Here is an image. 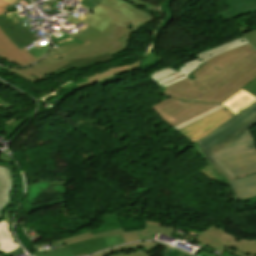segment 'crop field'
Instances as JSON below:
<instances>
[{"mask_svg":"<svg viewBox=\"0 0 256 256\" xmlns=\"http://www.w3.org/2000/svg\"><path fill=\"white\" fill-rule=\"evenodd\" d=\"M132 32L112 22L101 33L87 25L72 33L87 44H71L52 49L47 58L33 65L44 77L70 69H84L111 61L110 55L127 49Z\"/></svg>","mask_w":256,"mask_h":256,"instance_id":"obj_1","label":"crop field"},{"mask_svg":"<svg viewBox=\"0 0 256 256\" xmlns=\"http://www.w3.org/2000/svg\"><path fill=\"white\" fill-rule=\"evenodd\" d=\"M189 78L209 93L193 100L220 104L256 78V51L250 44L223 53Z\"/></svg>","mask_w":256,"mask_h":256,"instance_id":"obj_2","label":"crop field"},{"mask_svg":"<svg viewBox=\"0 0 256 256\" xmlns=\"http://www.w3.org/2000/svg\"><path fill=\"white\" fill-rule=\"evenodd\" d=\"M254 124H256V103L197 143L209 161L228 181L233 180L234 177L217 158L256 149L247 131Z\"/></svg>","mask_w":256,"mask_h":256,"instance_id":"obj_3","label":"crop field"},{"mask_svg":"<svg viewBox=\"0 0 256 256\" xmlns=\"http://www.w3.org/2000/svg\"><path fill=\"white\" fill-rule=\"evenodd\" d=\"M83 7L89 11L81 18L68 17L66 20L78 24H87L103 31L110 21L135 31L140 26L152 21L153 17L123 0H81ZM93 12L92 14H88Z\"/></svg>","mask_w":256,"mask_h":256,"instance_id":"obj_4","label":"crop field"},{"mask_svg":"<svg viewBox=\"0 0 256 256\" xmlns=\"http://www.w3.org/2000/svg\"><path fill=\"white\" fill-rule=\"evenodd\" d=\"M160 224L146 222L145 230L124 233L121 228L104 233L92 235L90 232L63 239L74 256H82L95 253L99 250L119 245L133 240H153L157 233L170 236L175 228L159 226Z\"/></svg>","mask_w":256,"mask_h":256,"instance_id":"obj_5","label":"crop field"},{"mask_svg":"<svg viewBox=\"0 0 256 256\" xmlns=\"http://www.w3.org/2000/svg\"><path fill=\"white\" fill-rule=\"evenodd\" d=\"M248 44V41L243 37H239L230 42L222 44L218 47L209 49L203 53L195 55L198 59L182 65L177 71L170 67L163 68L150 76V79L158 84L161 88H165L171 84L187 78L198 68L205 65L203 62L228 50Z\"/></svg>","mask_w":256,"mask_h":256,"instance_id":"obj_6","label":"crop field"},{"mask_svg":"<svg viewBox=\"0 0 256 256\" xmlns=\"http://www.w3.org/2000/svg\"><path fill=\"white\" fill-rule=\"evenodd\" d=\"M216 106L218 105L181 102L170 98L151 108H153L166 123L174 127Z\"/></svg>","mask_w":256,"mask_h":256,"instance_id":"obj_7","label":"crop field"},{"mask_svg":"<svg viewBox=\"0 0 256 256\" xmlns=\"http://www.w3.org/2000/svg\"><path fill=\"white\" fill-rule=\"evenodd\" d=\"M233 116L230 110L225 107L177 132L195 143Z\"/></svg>","mask_w":256,"mask_h":256,"instance_id":"obj_8","label":"crop field"},{"mask_svg":"<svg viewBox=\"0 0 256 256\" xmlns=\"http://www.w3.org/2000/svg\"><path fill=\"white\" fill-rule=\"evenodd\" d=\"M228 245L226 251L235 256H256V240H244L232 236L214 225L203 230Z\"/></svg>","mask_w":256,"mask_h":256,"instance_id":"obj_9","label":"crop field"},{"mask_svg":"<svg viewBox=\"0 0 256 256\" xmlns=\"http://www.w3.org/2000/svg\"><path fill=\"white\" fill-rule=\"evenodd\" d=\"M219 160L235 177L256 171V150Z\"/></svg>","mask_w":256,"mask_h":256,"instance_id":"obj_10","label":"crop field"},{"mask_svg":"<svg viewBox=\"0 0 256 256\" xmlns=\"http://www.w3.org/2000/svg\"><path fill=\"white\" fill-rule=\"evenodd\" d=\"M158 93H162L169 97H173L180 100L191 101L207 93V91L191 79L187 78L181 82L171 85L165 89H162Z\"/></svg>","mask_w":256,"mask_h":256,"instance_id":"obj_11","label":"crop field"},{"mask_svg":"<svg viewBox=\"0 0 256 256\" xmlns=\"http://www.w3.org/2000/svg\"><path fill=\"white\" fill-rule=\"evenodd\" d=\"M0 55L22 66L30 64L43 56L35 59L24 48L19 49L0 29Z\"/></svg>","mask_w":256,"mask_h":256,"instance_id":"obj_12","label":"crop field"},{"mask_svg":"<svg viewBox=\"0 0 256 256\" xmlns=\"http://www.w3.org/2000/svg\"><path fill=\"white\" fill-rule=\"evenodd\" d=\"M155 59H157V56L152 54V53H150L142 61H139V62H136V63H133V64H129V65H126V66H122V67L106 70V71H104V72H102V73H100L98 75H95V76H93L91 78H88V80H89L88 82H84V83L78 84V86H89L91 84L98 83V82L103 81V80H105L107 78H110V77H113L115 75H118V74L130 71L132 69L141 68V67L151 63Z\"/></svg>","mask_w":256,"mask_h":256,"instance_id":"obj_13","label":"crop field"},{"mask_svg":"<svg viewBox=\"0 0 256 256\" xmlns=\"http://www.w3.org/2000/svg\"><path fill=\"white\" fill-rule=\"evenodd\" d=\"M14 188V176L12 168L0 164V216L2 210L12 202L10 192Z\"/></svg>","mask_w":256,"mask_h":256,"instance_id":"obj_14","label":"crop field"},{"mask_svg":"<svg viewBox=\"0 0 256 256\" xmlns=\"http://www.w3.org/2000/svg\"><path fill=\"white\" fill-rule=\"evenodd\" d=\"M235 201L256 195V175L229 181Z\"/></svg>","mask_w":256,"mask_h":256,"instance_id":"obj_15","label":"crop field"},{"mask_svg":"<svg viewBox=\"0 0 256 256\" xmlns=\"http://www.w3.org/2000/svg\"><path fill=\"white\" fill-rule=\"evenodd\" d=\"M228 10L217 14L223 21L256 11V0H226Z\"/></svg>","mask_w":256,"mask_h":256,"instance_id":"obj_16","label":"crop field"},{"mask_svg":"<svg viewBox=\"0 0 256 256\" xmlns=\"http://www.w3.org/2000/svg\"><path fill=\"white\" fill-rule=\"evenodd\" d=\"M0 21L5 26V28L10 32V34L17 40V42L23 47L38 39L33 34H31L26 28L21 27L19 24L13 25L5 16V14L0 16Z\"/></svg>","mask_w":256,"mask_h":256,"instance_id":"obj_17","label":"crop field"},{"mask_svg":"<svg viewBox=\"0 0 256 256\" xmlns=\"http://www.w3.org/2000/svg\"><path fill=\"white\" fill-rule=\"evenodd\" d=\"M9 211H6L5 219L0 222V251L8 253L20 249L14 241L11 232L8 231L10 219L8 218Z\"/></svg>","mask_w":256,"mask_h":256,"instance_id":"obj_18","label":"crop field"},{"mask_svg":"<svg viewBox=\"0 0 256 256\" xmlns=\"http://www.w3.org/2000/svg\"><path fill=\"white\" fill-rule=\"evenodd\" d=\"M255 100L256 98L241 90L221 105L227 106L236 115L255 102Z\"/></svg>","mask_w":256,"mask_h":256,"instance_id":"obj_19","label":"crop field"},{"mask_svg":"<svg viewBox=\"0 0 256 256\" xmlns=\"http://www.w3.org/2000/svg\"><path fill=\"white\" fill-rule=\"evenodd\" d=\"M156 244H159V243L141 242V243L127 244V245H124V246H121V247H117V248H114V249H111V250L101 252V253L96 254L94 256H105L108 253L115 252V251H118V250H133V249L137 248L138 246H144L148 251H150L151 248ZM166 250L167 251H166L164 256H181V255L192 256L188 253L176 250V249L168 247V246H166Z\"/></svg>","mask_w":256,"mask_h":256,"instance_id":"obj_20","label":"crop field"},{"mask_svg":"<svg viewBox=\"0 0 256 256\" xmlns=\"http://www.w3.org/2000/svg\"><path fill=\"white\" fill-rule=\"evenodd\" d=\"M32 67L33 66H31L29 68L21 69V70L5 68V67H1V68L9 70V71L15 73L16 75H18L19 77H21L31 83L37 82L41 79H44L42 77V75L39 74L36 70H34Z\"/></svg>","mask_w":256,"mask_h":256,"instance_id":"obj_21","label":"crop field"},{"mask_svg":"<svg viewBox=\"0 0 256 256\" xmlns=\"http://www.w3.org/2000/svg\"><path fill=\"white\" fill-rule=\"evenodd\" d=\"M196 239L205 243V244H207L212 249H215V250H217L221 253L225 251L226 246H227V245L221 243L220 241H218V240H216V239H214V238H212V237H210V236H208L204 233H201Z\"/></svg>","mask_w":256,"mask_h":256,"instance_id":"obj_22","label":"crop field"},{"mask_svg":"<svg viewBox=\"0 0 256 256\" xmlns=\"http://www.w3.org/2000/svg\"><path fill=\"white\" fill-rule=\"evenodd\" d=\"M62 248L54 249V250H45L41 252L35 253V256H73L72 253L67 249L65 245L61 246Z\"/></svg>","mask_w":256,"mask_h":256,"instance_id":"obj_23","label":"crop field"},{"mask_svg":"<svg viewBox=\"0 0 256 256\" xmlns=\"http://www.w3.org/2000/svg\"><path fill=\"white\" fill-rule=\"evenodd\" d=\"M220 108H223V106H218V107H216L214 109L206 111V112H204V113H202V114H200V115H198V116H196V117H194V118H192V119H190V120H188V121H186V122H184V123H182V124L172 128V129L177 131L178 129H180V128H182V127H184V126H186V125H188V124H190V123H192V122H194V121H196V120H198V119H200V118H202V117H204V116H206V115H208V114H210V113H212V112H214V111H216L218 109H220Z\"/></svg>","mask_w":256,"mask_h":256,"instance_id":"obj_24","label":"crop field"},{"mask_svg":"<svg viewBox=\"0 0 256 256\" xmlns=\"http://www.w3.org/2000/svg\"><path fill=\"white\" fill-rule=\"evenodd\" d=\"M48 45L45 44L42 45L40 48H37L36 46L32 47L31 49L27 50L30 54H32L35 58L45 54L48 50Z\"/></svg>","mask_w":256,"mask_h":256,"instance_id":"obj_25","label":"crop field"},{"mask_svg":"<svg viewBox=\"0 0 256 256\" xmlns=\"http://www.w3.org/2000/svg\"><path fill=\"white\" fill-rule=\"evenodd\" d=\"M62 33H63V32H62ZM63 34H64L65 36L60 37V38H58V39H56L54 35H51L50 37H51V39H52L53 42L71 37V36H69V35H67V34H65V33H63ZM71 38H72L73 40L67 41V42H63V43H60V44H56V46L59 47V46H63V45H67V44H71V43H75V42H77L78 44H82V43H83V42H81V41H79V40H77V39H75V38H73V37H71Z\"/></svg>","mask_w":256,"mask_h":256,"instance_id":"obj_26","label":"crop field"},{"mask_svg":"<svg viewBox=\"0 0 256 256\" xmlns=\"http://www.w3.org/2000/svg\"><path fill=\"white\" fill-rule=\"evenodd\" d=\"M30 115H31V114H30ZM30 115H29V116H30ZM29 116H27V117L24 118V119H21V120H18V121L13 122V123L10 124L7 128H5L4 131L14 133V132L27 120V118H28Z\"/></svg>","mask_w":256,"mask_h":256,"instance_id":"obj_27","label":"crop field"},{"mask_svg":"<svg viewBox=\"0 0 256 256\" xmlns=\"http://www.w3.org/2000/svg\"><path fill=\"white\" fill-rule=\"evenodd\" d=\"M245 91L256 97V79L243 88Z\"/></svg>","mask_w":256,"mask_h":256,"instance_id":"obj_28","label":"crop field"},{"mask_svg":"<svg viewBox=\"0 0 256 256\" xmlns=\"http://www.w3.org/2000/svg\"><path fill=\"white\" fill-rule=\"evenodd\" d=\"M244 36L256 48V31L246 33Z\"/></svg>","mask_w":256,"mask_h":256,"instance_id":"obj_29","label":"crop field"},{"mask_svg":"<svg viewBox=\"0 0 256 256\" xmlns=\"http://www.w3.org/2000/svg\"><path fill=\"white\" fill-rule=\"evenodd\" d=\"M112 256H148L147 254H145L143 251L139 250L137 252H133V253H119L116 255H112Z\"/></svg>","mask_w":256,"mask_h":256,"instance_id":"obj_30","label":"crop field"},{"mask_svg":"<svg viewBox=\"0 0 256 256\" xmlns=\"http://www.w3.org/2000/svg\"><path fill=\"white\" fill-rule=\"evenodd\" d=\"M129 1L139 5L141 7H145V8H154L155 7V6H153V5L149 4V3L142 2L140 0H129Z\"/></svg>","mask_w":256,"mask_h":256,"instance_id":"obj_31","label":"crop field"},{"mask_svg":"<svg viewBox=\"0 0 256 256\" xmlns=\"http://www.w3.org/2000/svg\"><path fill=\"white\" fill-rule=\"evenodd\" d=\"M0 28L3 30V32L21 49V47L16 40L9 34V32L3 27V25L0 23Z\"/></svg>","mask_w":256,"mask_h":256,"instance_id":"obj_32","label":"crop field"},{"mask_svg":"<svg viewBox=\"0 0 256 256\" xmlns=\"http://www.w3.org/2000/svg\"><path fill=\"white\" fill-rule=\"evenodd\" d=\"M9 6L10 5L8 3H6L5 1L0 0V14L4 13V12H7L4 8H7Z\"/></svg>","mask_w":256,"mask_h":256,"instance_id":"obj_33","label":"crop field"},{"mask_svg":"<svg viewBox=\"0 0 256 256\" xmlns=\"http://www.w3.org/2000/svg\"><path fill=\"white\" fill-rule=\"evenodd\" d=\"M0 161L14 163L11 158H9L7 155L3 153L0 155Z\"/></svg>","mask_w":256,"mask_h":256,"instance_id":"obj_34","label":"crop field"},{"mask_svg":"<svg viewBox=\"0 0 256 256\" xmlns=\"http://www.w3.org/2000/svg\"><path fill=\"white\" fill-rule=\"evenodd\" d=\"M55 243H60V245H63V244H64L61 240H58V242L47 243V244H55ZM41 245H44V244L35 245V247H32V248H33V250H36V249L39 248ZM45 245H46V244H45Z\"/></svg>","mask_w":256,"mask_h":256,"instance_id":"obj_35","label":"crop field"},{"mask_svg":"<svg viewBox=\"0 0 256 256\" xmlns=\"http://www.w3.org/2000/svg\"><path fill=\"white\" fill-rule=\"evenodd\" d=\"M6 2H8L9 4H13L15 2H18L17 0H5Z\"/></svg>","mask_w":256,"mask_h":256,"instance_id":"obj_36","label":"crop field"},{"mask_svg":"<svg viewBox=\"0 0 256 256\" xmlns=\"http://www.w3.org/2000/svg\"><path fill=\"white\" fill-rule=\"evenodd\" d=\"M225 256H233L232 254L227 253L226 251L223 253Z\"/></svg>","mask_w":256,"mask_h":256,"instance_id":"obj_37","label":"crop field"},{"mask_svg":"<svg viewBox=\"0 0 256 256\" xmlns=\"http://www.w3.org/2000/svg\"><path fill=\"white\" fill-rule=\"evenodd\" d=\"M256 172L254 173H251V174H255ZM251 174H247V175H251ZM247 175H243V176H247ZM243 176H239V177H243ZM239 177H236V178H239Z\"/></svg>","mask_w":256,"mask_h":256,"instance_id":"obj_38","label":"crop field"},{"mask_svg":"<svg viewBox=\"0 0 256 256\" xmlns=\"http://www.w3.org/2000/svg\"><path fill=\"white\" fill-rule=\"evenodd\" d=\"M0 107H3V108H5V106H4V105H0Z\"/></svg>","mask_w":256,"mask_h":256,"instance_id":"obj_39","label":"crop field"},{"mask_svg":"<svg viewBox=\"0 0 256 256\" xmlns=\"http://www.w3.org/2000/svg\"><path fill=\"white\" fill-rule=\"evenodd\" d=\"M0 100H2V99H0ZM3 101V100H2Z\"/></svg>","mask_w":256,"mask_h":256,"instance_id":"obj_40","label":"crop field"}]
</instances>
